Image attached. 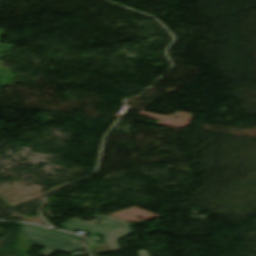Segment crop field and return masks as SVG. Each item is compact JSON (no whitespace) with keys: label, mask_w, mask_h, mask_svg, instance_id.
Segmentation results:
<instances>
[{"label":"crop field","mask_w":256,"mask_h":256,"mask_svg":"<svg viewBox=\"0 0 256 256\" xmlns=\"http://www.w3.org/2000/svg\"><path fill=\"white\" fill-rule=\"evenodd\" d=\"M130 233H132V230L129 226L109 229L100 232L101 236L107 242L111 252L122 251L116 241Z\"/></svg>","instance_id":"2"},{"label":"crop field","mask_w":256,"mask_h":256,"mask_svg":"<svg viewBox=\"0 0 256 256\" xmlns=\"http://www.w3.org/2000/svg\"><path fill=\"white\" fill-rule=\"evenodd\" d=\"M94 218H99L101 220H104L103 222L99 223V224H103L106 226H110V227H114V226H120V225H124V224H129L128 222L110 217V216H96Z\"/></svg>","instance_id":"4"},{"label":"crop field","mask_w":256,"mask_h":256,"mask_svg":"<svg viewBox=\"0 0 256 256\" xmlns=\"http://www.w3.org/2000/svg\"><path fill=\"white\" fill-rule=\"evenodd\" d=\"M61 225L70 227V228H74V229H77L80 231H84V232H93V231L109 228L106 226H102V225H98L95 223H91L88 221H82V220H78V219H72L68 222L62 223Z\"/></svg>","instance_id":"3"},{"label":"crop field","mask_w":256,"mask_h":256,"mask_svg":"<svg viewBox=\"0 0 256 256\" xmlns=\"http://www.w3.org/2000/svg\"><path fill=\"white\" fill-rule=\"evenodd\" d=\"M140 252V256H149L145 250H141Z\"/></svg>","instance_id":"5"},{"label":"crop field","mask_w":256,"mask_h":256,"mask_svg":"<svg viewBox=\"0 0 256 256\" xmlns=\"http://www.w3.org/2000/svg\"><path fill=\"white\" fill-rule=\"evenodd\" d=\"M20 231L35 245L46 247L40 253L46 256H49L55 250L73 252L83 248L81 242L82 237L67 234L61 231H52L25 223L21 224ZM71 237L75 239L70 241L69 239Z\"/></svg>","instance_id":"1"}]
</instances>
